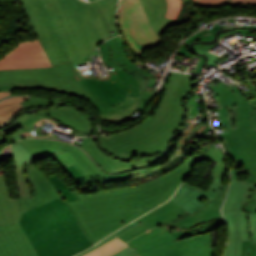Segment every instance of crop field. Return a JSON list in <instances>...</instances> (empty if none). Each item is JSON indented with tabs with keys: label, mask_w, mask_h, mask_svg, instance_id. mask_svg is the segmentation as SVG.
<instances>
[{
	"label": "crop field",
	"mask_w": 256,
	"mask_h": 256,
	"mask_svg": "<svg viewBox=\"0 0 256 256\" xmlns=\"http://www.w3.org/2000/svg\"><path fill=\"white\" fill-rule=\"evenodd\" d=\"M219 29H221V28H220L219 26H217V27H215V28H213V29H211V30H208V31H206V32H204V33H202V34H199V33L195 34V35L192 36L190 39H188L187 41H185L186 43L183 44V46L181 47L182 49L180 50L179 53H181V54H187V55H190V57H193V55H191L190 53H188L187 50H186V47L188 46V44H190L191 42H193V41H195V40L211 41V40L214 39V33H215V31H216V30H219ZM208 32H211L213 35L208 36V37H206V36L203 37V36H202V35H204V34H206V33H208Z\"/></svg>",
	"instance_id": "crop-field-29"
},
{
	"label": "crop field",
	"mask_w": 256,
	"mask_h": 256,
	"mask_svg": "<svg viewBox=\"0 0 256 256\" xmlns=\"http://www.w3.org/2000/svg\"><path fill=\"white\" fill-rule=\"evenodd\" d=\"M9 95H12V93L11 92H0V99L5 96H9Z\"/></svg>",
	"instance_id": "crop-field-48"
},
{
	"label": "crop field",
	"mask_w": 256,
	"mask_h": 256,
	"mask_svg": "<svg viewBox=\"0 0 256 256\" xmlns=\"http://www.w3.org/2000/svg\"><path fill=\"white\" fill-rule=\"evenodd\" d=\"M34 114H46L52 116L56 120L73 128L74 130L71 132V134L73 135L85 136L78 132L92 133V127L90 122L77 110L67 105L55 109H43Z\"/></svg>",
	"instance_id": "crop-field-19"
},
{
	"label": "crop field",
	"mask_w": 256,
	"mask_h": 256,
	"mask_svg": "<svg viewBox=\"0 0 256 256\" xmlns=\"http://www.w3.org/2000/svg\"><path fill=\"white\" fill-rule=\"evenodd\" d=\"M206 118H207V113L205 111V114L201 113V118L199 120V123L198 124L194 123V125L191 124L188 127V129L182 134V136L178 139V141H177V143L175 145V148H174L172 153L187 159L185 155H187L189 153L188 150H189V148H192V146H187V145H184V144L189 139V137L193 133H195L203 125V123L206 120ZM179 145H181V146H179Z\"/></svg>",
	"instance_id": "crop-field-25"
},
{
	"label": "crop field",
	"mask_w": 256,
	"mask_h": 256,
	"mask_svg": "<svg viewBox=\"0 0 256 256\" xmlns=\"http://www.w3.org/2000/svg\"><path fill=\"white\" fill-rule=\"evenodd\" d=\"M216 91L223 109L221 124L230 133L222 134L221 141L231 152L228 156L233 168L232 178L240 171L250 173L248 181L256 182V131L251 127L250 114L254 107L240 93L238 87L228 88L219 82L211 88ZM255 153V154H253Z\"/></svg>",
	"instance_id": "crop-field-5"
},
{
	"label": "crop field",
	"mask_w": 256,
	"mask_h": 256,
	"mask_svg": "<svg viewBox=\"0 0 256 256\" xmlns=\"http://www.w3.org/2000/svg\"><path fill=\"white\" fill-rule=\"evenodd\" d=\"M116 237H117V236H115V235L112 234V235L108 236L107 238H105L103 241H101V242H99L98 244H96L95 246H93L92 248H90V249H88V250H86V251H84V252H82V253H80V254H78V255H76V256H82V255H84V254L90 252L91 250H93V249H95V248H97V247H99V246L105 244L106 242H108V241H110L111 239H114V238H116Z\"/></svg>",
	"instance_id": "crop-field-40"
},
{
	"label": "crop field",
	"mask_w": 256,
	"mask_h": 256,
	"mask_svg": "<svg viewBox=\"0 0 256 256\" xmlns=\"http://www.w3.org/2000/svg\"><path fill=\"white\" fill-rule=\"evenodd\" d=\"M249 214L250 234L252 235V251L250 256H256V213Z\"/></svg>",
	"instance_id": "crop-field-31"
},
{
	"label": "crop field",
	"mask_w": 256,
	"mask_h": 256,
	"mask_svg": "<svg viewBox=\"0 0 256 256\" xmlns=\"http://www.w3.org/2000/svg\"><path fill=\"white\" fill-rule=\"evenodd\" d=\"M101 57L105 67L112 66L113 71L126 70L134 75L140 82L141 90H145L149 83L148 73L140 70L135 63L131 61L126 50L124 49L123 41L120 36L106 41L100 46Z\"/></svg>",
	"instance_id": "crop-field-12"
},
{
	"label": "crop field",
	"mask_w": 256,
	"mask_h": 256,
	"mask_svg": "<svg viewBox=\"0 0 256 256\" xmlns=\"http://www.w3.org/2000/svg\"><path fill=\"white\" fill-rule=\"evenodd\" d=\"M212 232L176 241L166 225L127 242L140 256H212Z\"/></svg>",
	"instance_id": "crop-field-8"
},
{
	"label": "crop field",
	"mask_w": 256,
	"mask_h": 256,
	"mask_svg": "<svg viewBox=\"0 0 256 256\" xmlns=\"http://www.w3.org/2000/svg\"><path fill=\"white\" fill-rule=\"evenodd\" d=\"M118 20L120 28L136 55L159 45L161 39L152 30L139 0H121Z\"/></svg>",
	"instance_id": "crop-field-11"
},
{
	"label": "crop field",
	"mask_w": 256,
	"mask_h": 256,
	"mask_svg": "<svg viewBox=\"0 0 256 256\" xmlns=\"http://www.w3.org/2000/svg\"><path fill=\"white\" fill-rule=\"evenodd\" d=\"M247 82L245 81H239L241 84H245L246 86L248 85L252 95L254 96V98H256V86L255 84L250 80H246Z\"/></svg>",
	"instance_id": "crop-field-41"
},
{
	"label": "crop field",
	"mask_w": 256,
	"mask_h": 256,
	"mask_svg": "<svg viewBox=\"0 0 256 256\" xmlns=\"http://www.w3.org/2000/svg\"><path fill=\"white\" fill-rule=\"evenodd\" d=\"M146 15L153 27L155 29L161 20L164 18L167 11V1L166 0H140Z\"/></svg>",
	"instance_id": "crop-field-22"
},
{
	"label": "crop field",
	"mask_w": 256,
	"mask_h": 256,
	"mask_svg": "<svg viewBox=\"0 0 256 256\" xmlns=\"http://www.w3.org/2000/svg\"><path fill=\"white\" fill-rule=\"evenodd\" d=\"M54 158L57 160V162L63 167V169L66 171V173L70 176V178L74 181L76 185L81 183H87L84 178L79 174V172L74 168L73 165L65 168L59 160L54 156Z\"/></svg>",
	"instance_id": "crop-field-33"
},
{
	"label": "crop field",
	"mask_w": 256,
	"mask_h": 256,
	"mask_svg": "<svg viewBox=\"0 0 256 256\" xmlns=\"http://www.w3.org/2000/svg\"><path fill=\"white\" fill-rule=\"evenodd\" d=\"M27 148L33 159L31 162L55 155L67 167L73 164L89 182H113L127 179L125 173L107 175L76 146L49 139H25L19 142Z\"/></svg>",
	"instance_id": "crop-field-9"
},
{
	"label": "crop field",
	"mask_w": 256,
	"mask_h": 256,
	"mask_svg": "<svg viewBox=\"0 0 256 256\" xmlns=\"http://www.w3.org/2000/svg\"><path fill=\"white\" fill-rule=\"evenodd\" d=\"M252 193H251V198L253 199L252 201L247 202L244 205V211L246 212H256V183L252 187Z\"/></svg>",
	"instance_id": "crop-field-34"
},
{
	"label": "crop field",
	"mask_w": 256,
	"mask_h": 256,
	"mask_svg": "<svg viewBox=\"0 0 256 256\" xmlns=\"http://www.w3.org/2000/svg\"><path fill=\"white\" fill-rule=\"evenodd\" d=\"M210 130H212L211 129V127L210 126H207L204 130H202L197 136L199 137V138H201V137H204V136H206V132H208V131H210Z\"/></svg>",
	"instance_id": "crop-field-47"
},
{
	"label": "crop field",
	"mask_w": 256,
	"mask_h": 256,
	"mask_svg": "<svg viewBox=\"0 0 256 256\" xmlns=\"http://www.w3.org/2000/svg\"><path fill=\"white\" fill-rule=\"evenodd\" d=\"M196 0H193V2L195 3Z\"/></svg>",
	"instance_id": "crop-field-51"
},
{
	"label": "crop field",
	"mask_w": 256,
	"mask_h": 256,
	"mask_svg": "<svg viewBox=\"0 0 256 256\" xmlns=\"http://www.w3.org/2000/svg\"><path fill=\"white\" fill-rule=\"evenodd\" d=\"M222 178L216 177L212 184L203 191L188 184H182L179 191L170 199L191 214L200 210L204 205L213 200L220 192Z\"/></svg>",
	"instance_id": "crop-field-14"
},
{
	"label": "crop field",
	"mask_w": 256,
	"mask_h": 256,
	"mask_svg": "<svg viewBox=\"0 0 256 256\" xmlns=\"http://www.w3.org/2000/svg\"><path fill=\"white\" fill-rule=\"evenodd\" d=\"M251 241H243L242 256H249L251 251Z\"/></svg>",
	"instance_id": "crop-field-42"
},
{
	"label": "crop field",
	"mask_w": 256,
	"mask_h": 256,
	"mask_svg": "<svg viewBox=\"0 0 256 256\" xmlns=\"http://www.w3.org/2000/svg\"><path fill=\"white\" fill-rule=\"evenodd\" d=\"M185 106H186L187 112H188L187 123L185 125V127H186L191 122V120H189L190 117L192 115L196 116L198 114V111L200 108V100H199V98H189L186 101ZM185 127L182 129V131L185 129Z\"/></svg>",
	"instance_id": "crop-field-30"
},
{
	"label": "crop field",
	"mask_w": 256,
	"mask_h": 256,
	"mask_svg": "<svg viewBox=\"0 0 256 256\" xmlns=\"http://www.w3.org/2000/svg\"><path fill=\"white\" fill-rule=\"evenodd\" d=\"M0 256H38L20 224L0 227Z\"/></svg>",
	"instance_id": "crop-field-16"
},
{
	"label": "crop field",
	"mask_w": 256,
	"mask_h": 256,
	"mask_svg": "<svg viewBox=\"0 0 256 256\" xmlns=\"http://www.w3.org/2000/svg\"><path fill=\"white\" fill-rule=\"evenodd\" d=\"M91 1V0H90Z\"/></svg>",
	"instance_id": "crop-field-53"
},
{
	"label": "crop field",
	"mask_w": 256,
	"mask_h": 256,
	"mask_svg": "<svg viewBox=\"0 0 256 256\" xmlns=\"http://www.w3.org/2000/svg\"><path fill=\"white\" fill-rule=\"evenodd\" d=\"M28 99L27 97H13L0 102V125H3L19 111L25 110L21 102Z\"/></svg>",
	"instance_id": "crop-field-24"
},
{
	"label": "crop field",
	"mask_w": 256,
	"mask_h": 256,
	"mask_svg": "<svg viewBox=\"0 0 256 256\" xmlns=\"http://www.w3.org/2000/svg\"><path fill=\"white\" fill-rule=\"evenodd\" d=\"M12 154L15 163V175L19 198L32 197V190L25 179V167L32 159L25 147L16 143L12 144Z\"/></svg>",
	"instance_id": "crop-field-21"
},
{
	"label": "crop field",
	"mask_w": 256,
	"mask_h": 256,
	"mask_svg": "<svg viewBox=\"0 0 256 256\" xmlns=\"http://www.w3.org/2000/svg\"><path fill=\"white\" fill-rule=\"evenodd\" d=\"M137 256H139V255H137Z\"/></svg>",
	"instance_id": "crop-field-52"
},
{
	"label": "crop field",
	"mask_w": 256,
	"mask_h": 256,
	"mask_svg": "<svg viewBox=\"0 0 256 256\" xmlns=\"http://www.w3.org/2000/svg\"><path fill=\"white\" fill-rule=\"evenodd\" d=\"M76 74L101 119L123 120L137 109L145 111L152 99V94L140 91L138 80L124 70L103 79L94 78L91 70Z\"/></svg>",
	"instance_id": "crop-field-6"
},
{
	"label": "crop field",
	"mask_w": 256,
	"mask_h": 256,
	"mask_svg": "<svg viewBox=\"0 0 256 256\" xmlns=\"http://www.w3.org/2000/svg\"><path fill=\"white\" fill-rule=\"evenodd\" d=\"M198 57H200V59H199L200 63H199V65H198L197 70H196L195 73H198V72H199V69H201V68H199V66H202V63H203V57H201V56H198Z\"/></svg>",
	"instance_id": "crop-field-49"
},
{
	"label": "crop field",
	"mask_w": 256,
	"mask_h": 256,
	"mask_svg": "<svg viewBox=\"0 0 256 256\" xmlns=\"http://www.w3.org/2000/svg\"><path fill=\"white\" fill-rule=\"evenodd\" d=\"M250 104H252L255 107L254 113L251 114V118H252V126L253 128L256 130V99H252L250 100Z\"/></svg>",
	"instance_id": "crop-field-45"
},
{
	"label": "crop field",
	"mask_w": 256,
	"mask_h": 256,
	"mask_svg": "<svg viewBox=\"0 0 256 256\" xmlns=\"http://www.w3.org/2000/svg\"><path fill=\"white\" fill-rule=\"evenodd\" d=\"M136 253L130 246L125 247L121 251L111 255V256H134L137 255Z\"/></svg>",
	"instance_id": "crop-field-39"
},
{
	"label": "crop field",
	"mask_w": 256,
	"mask_h": 256,
	"mask_svg": "<svg viewBox=\"0 0 256 256\" xmlns=\"http://www.w3.org/2000/svg\"><path fill=\"white\" fill-rule=\"evenodd\" d=\"M19 1L52 67L0 70V85L17 84V88H40L87 98L74 70L79 72L77 65L85 61L93 62L91 56H99L98 46L119 34L115 26L118 0Z\"/></svg>",
	"instance_id": "crop-field-1"
},
{
	"label": "crop field",
	"mask_w": 256,
	"mask_h": 256,
	"mask_svg": "<svg viewBox=\"0 0 256 256\" xmlns=\"http://www.w3.org/2000/svg\"><path fill=\"white\" fill-rule=\"evenodd\" d=\"M226 4H250L256 5V0H197L196 5L202 7L223 6Z\"/></svg>",
	"instance_id": "crop-field-28"
},
{
	"label": "crop field",
	"mask_w": 256,
	"mask_h": 256,
	"mask_svg": "<svg viewBox=\"0 0 256 256\" xmlns=\"http://www.w3.org/2000/svg\"><path fill=\"white\" fill-rule=\"evenodd\" d=\"M200 155H191L173 171L137 187L87 196L81 195L76 187H71L79 200L68 205L89 238L97 243L168 200Z\"/></svg>",
	"instance_id": "crop-field-2"
},
{
	"label": "crop field",
	"mask_w": 256,
	"mask_h": 256,
	"mask_svg": "<svg viewBox=\"0 0 256 256\" xmlns=\"http://www.w3.org/2000/svg\"><path fill=\"white\" fill-rule=\"evenodd\" d=\"M181 9V0H168V12L165 17L167 18H178Z\"/></svg>",
	"instance_id": "crop-field-32"
},
{
	"label": "crop field",
	"mask_w": 256,
	"mask_h": 256,
	"mask_svg": "<svg viewBox=\"0 0 256 256\" xmlns=\"http://www.w3.org/2000/svg\"><path fill=\"white\" fill-rule=\"evenodd\" d=\"M81 148L87 151L89 155L97 162V164L104 171L111 172V173H118V172L128 171V170L144 167L147 165H151L161 160L163 157L162 155H156L154 157L140 158L138 161H135V162L118 161L104 154L98 148L93 138L82 143Z\"/></svg>",
	"instance_id": "crop-field-15"
},
{
	"label": "crop field",
	"mask_w": 256,
	"mask_h": 256,
	"mask_svg": "<svg viewBox=\"0 0 256 256\" xmlns=\"http://www.w3.org/2000/svg\"><path fill=\"white\" fill-rule=\"evenodd\" d=\"M236 27V26H235ZM239 27H250V28H256L255 26H239ZM233 28V27H230Z\"/></svg>",
	"instance_id": "crop-field-50"
},
{
	"label": "crop field",
	"mask_w": 256,
	"mask_h": 256,
	"mask_svg": "<svg viewBox=\"0 0 256 256\" xmlns=\"http://www.w3.org/2000/svg\"><path fill=\"white\" fill-rule=\"evenodd\" d=\"M192 49H193V51H196L198 53H202V54L208 56L209 57L208 64H211V65H214V66L217 65L218 56H216V55H214V54H212L210 52L199 50V49H196V48H193V47H192Z\"/></svg>",
	"instance_id": "crop-field-35"
},
{
	"label": "crop field",
	"mask_w": 256,
	"mask_h": 256,
	"mask_svg": "<svg viewBox=\"0 0 256 256\" xmlns=\"http://www.w3.org/2000/svg\"><path fill=\"white\" fill-rule=\"evenodd\" d=\"M47 178L61 198L22 214L20 223L39 256H72L93 242L66 203L77 200L71 188L57 174Z\"/></svg>",
	"instance_id": "crop-field-3"
},
{
	"label": "crop field",
	"mask_w": 256,
	"mask_h": 256,
	"mask_svg": "<svg viewBox=\"0 0 256 256\" xmlns=\"http://www.w3.org/2000/svg\"><path fill=\"white\" fill-rule=\"evenodd\" d=\"M176 20L164 18L160 25L154 30L158 35L164 31L169 24H174Z\"/></svg>",
	"instance_id": "crop-field-37"
},
{
	"label": "crop field",
	"mask_w": 256,
	"mask_h": 256,
	"mask_svg": "<svg viewBox=\"0 0 256 256\" xmlns=\"http://www.w3.org/2000/svg\"><path fill=\"white\" fill-rule=\"evenodd\" d=\"M10 157H11V153H10L9 146L0 150V160L7 159Z\"/></svg>",
	"instance_id": "crop-field-43"
},
{
	"label": "crop field",
	"mask_w": 256,
	"mask_h": 256,
	"mask_svg": "<svg viewBox=\"0 0 256 256\" xmlns=\"http://www.w3.org/2000/svg\"><path fill=\"white\" fill-rule=\"evenodd\" d=\"M29 179L36 192L33 198L19 199L21 214L49 200L59 197L46 176L33 164L29 169ZM20 214V216H21ZM20 221V217L18 222Z\"/></svg>",
	"instance_id": "crop-field-18"
},
{
	"label": "crop field",
	"mask_w": 256,
	"mask_h": 256,
	"mask_svg": "<svg viewBox=\"0 0 256 256\" xmlns=\"http://www.w3.org/2000/svg\"><path fill=\"white\" fill-rule=\"evenodd\" d=\"M231 35L234 36L233 31H231V32H229V33H227V34H220L218 42H219L221 39H223V38H225V37H228V36H231ZM218 42H217L216 44H214V45H199V44H196V45H193V47L200 48V49H203V50L208 51V50H210L211 48H213L214 46H216L217 44H219Z\"/></svg>",
	"instance_id": "crop-field-36"
},
{
	"label": "crop field",
	"mask_w": 256,
	"mask_h": 256,
	"mask_svg": "<svg viewBox=\"0 0 256 256\" xmlns=\"http://www.w3.org/2000/svg\"><path fill=\"white\" fill-rule=\"evenodd\" d=\"M227 186L220 194L200 211L191 215L176 204L168 201L145 216L135 220L140 224L132 230L118 236L125 243L138 235L166 224L176 240L213 231L215 227L225 224L219 211Z\"/></svg>",
	"instance_id": "crop-field-7"
},
{
	"label": "crop field",
	"mask_w": 256,
	"mask_h": 256,
	"mask_svg": "<svg viewBox=\"0 0 256 256\" xmlns=\"http://www.w3.org/2000/svg\"><path fill=\"white\" fill-rule=\"evenodd\" d=\"M138 223H136L135 221L134 222H132V223H130L129 225H127L126 227H124V228H122V229H120V230H118V231H116V232H114L115 233V235H120V234H122V233H124V232H126V231H128V230H130V229H132L133 227H135L136 225H137Z\"/></svg>",
	"instance_id": "crop-field-44"
},
{
	"label": "crop field",
	"mask_w": 256,
	"mask_h": 256,
	"mask_svg": "<svg viewBox=\"0 0 256 256\" xmlns=\"http://www.w3.org/2000/svg\"><path fill=\"white\" fill-rule=\"evenodd\" d=\"M16 88V85H2L0 91H12Z\"/></svg>",
	"instance_id": "crop-field-46"
},
{
	"label": "crop field",
	"mask_w": 256,
	"mask_h": 256,
	"mask_svg": "<svg viewBox=\"0 0 256 256\" xmlns=\"http://www.w3.org/2000/svg\"><path fill=\"white\" fill-rule=\"evenodd\" d=\"M125 246L127 245L124 242L116 238L84 256H110L111 254L121 250Z\"/></svg>",
	"instance_id": "crop-field-26"
},
{
	"label": "crop field",
	"mask_w": 256,
	"mask_h": 256,
	"mask_svg": "<svg viewBox=\"0 0 256 256\" xmlns=\"http://www.w3.org/2000/svg\"><path fill=\"white\" fill-rule=\"evenodd\" d=\"M206 153V152H205ZM201 159V158H200ZM201 160H209L217 162V165H214L213 170L210 174L211 182L216 176L227 177L229 178V169L226 165L223 153L218 149H209L207 153L202 157ZM200 160V161H201Z\"/></svg>",
	"instance_id": "crop-field-23"
},
{
	"label": "crop field",
	"mask_w": 256,
	"mask_h": 256,
	"mask_svg": "<svg viewBox=\"0 0 256 256\" xmlns=\"http://www.w3.org/2000/svg\"><path fill=\"white\" fill-rule=\"evenodd\" d=\"M45 122H49L51 124L56 125L58 121L55 119L46 116V115H33V114H23L17 119H15L14 123L5 129H0V138L5 136L7 133H10L18 128H22L21 130L11 134L9 137L13 140H19L25 137H43V138H56L55 134H41L40 127ZM59 139V138H58ZM61 140V139H59Z\"/></svg>",
	"instance_id": "crop-field-17"
},
{
	"label": "crop field",
	"mask_w": 256,
	"mask_h": 256,
	"mask_svg": "<svg viewBox=\"0 0 256 256\" xmlns=\"http://www.w3.org/2000/svg\"><path fill=\"white\" fill-rule=\"evenodd\" d=\"M29 99L22 103L25 109L43 107V106H55L59 104L67 103L66 101L50 99V98H37L28 97Z\"/></svg>",
	"instance_id": "crop-field-27"
},
{
	"label": "crop field",
	"mask_w": 256,
	"mask_h": 256,
	"mask_svg": "<svg viewBox=\"0 0 256 256\" xmlns=\"http://www.w3.org/2000/svg\"><path fill=\"white\" fill-rule=\"evenodd\" d=\"M19 214L18 199H12L3 169H0V226L17 223Z\"/></svg>",
	"instance_id": "crop-field-20"
},
{
	"label": "crop field",
	"mask_w": 256,
	"mask_h": 256,
	"mask_svg": "<svg viewBox=\"0 0 256 256\" xmlns=\"http://www.w3.org/2000/svg\"><path fill=\"white\" fill-rule=\"evenodd\" d=\"M50 66L38 39L20 44L0 61V69Z\"/></svg>",
	"instance_id": "crop-field-13"
},
{
	"label": "crop field",
	"mask_w": 256,
	"mask_h": 256,
	"mask_svg": "<svg viewBox=\"0 0 256 256\" xmlns=\"http://www.w3.org/2000/svg\"><path fill=\"white\" fill-rule=\"evenodd\" d=\"M193 76L171 73L163 100L153 116L121 134L101 138V145L122 159L164 152L183 120L182 100L191 91Z\"/></svg>",
	"instance_id": "crop-field-4"
},
{
	"label": "crop field",
	"mask_w": 256,
	"mask_h": 256,
	"mask_svg": "<svg viewBox=\"0 0 256 256\" xmlns=\"http://www.w3.org/2000/svg\"><path fill=\"white\" fill-rule=\"evenodd\" d=\"M152 171L153 170L151 168L147 167V168H143V169L127 172L126 175H127L128 178H133V177H137V176H140V175H144V174L150 173Z\"/></svg>",
	"instance_id": "crop-field-38"
},
{
	"label": "crop field",
	"mask_w": 256,
	"mask_h": 256,
	"mask_svg": "<svg viewBox=\"0 0 256 256\" xmlns=\"http://www.w3.org/2000/svg\"><path fill=\"white\" fill-rule=\"evenodd\" d=\"M253 184L232 179L231 188L223 206V215L231 230L230 241L225 256H241L242 240H250L248 214L243 211V204L249 198Z\"/></svg>",
	"instance_id": "crop-field-10"
}]
</instances>
